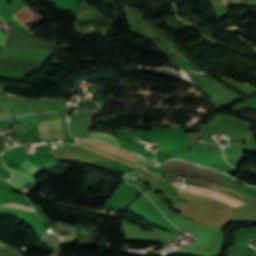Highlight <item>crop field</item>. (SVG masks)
Segmentation results:
<instances>
[{
  "label": "crop field",
  "instance_id": "1",
  "mask_svg": "<svg viewBox=\"0 0 256 256\" xmlns=\"http://www.w3.org/2000/svg\"><path fill=\"white\" fill-rule=\"evenodd\" d=\"M54 157L59 159H75V160H83V161H95V160H107L100 155H96L88 150H85L80 147L75 148H54L48 151Z\"/></svg>",
  "mask_w": 256,
  "mask_h": 256
},
{
  "label": "crop field",
  "instance_id": "2",
  "mask_svg": "<svg viewBox=\"0 0 256 256\" xmlns=\"http://www.w3.org/2000/svg\"><path fill=\"white\" fill-rule=\"evenodd\" d=\"M40 139H64L61 119L37 123Z\"/></svg>",
  "mask_w": 256,
  "mask_h": 256
},
{
  "label": "crop field",
  "instance_id": "3",
  "mask_svg": "<svg viewBox=\"0 0 256 256\" xmlns=\"http://www.w3.org/2000/svg\"><path fill=\"white\" fill-rule=\"evenodd\" d=\"M79 142H80V143H84V144H88V145H92V146H96V147H100V148H104V149H106V150H108V151H111V152H113V153H116V154H118V155H120V156H123V157H125V158H128V159L134 161V163H135V165H136L135 167H139V166H140V165L137 163L134 154L129 153V152H127V151H124V150H122V149H119V148L110 146V145L105 144V143H101V142H99V141L79 140ZM77 146L86 148V149H88V150H92V151L97 152V153H99V154H101V155H104V156L110 157V158H112V159L118 160V159L113 158V157H111V156H109V155H106V154H104V153L98 152V151H96V150H93V149H90V148H87V147H84V146H82V145L77 144ZM118 161H120V162H122V163H124V164H126V165L133 166V165L128 164V163H126V162H123V161H121V160H118Z\"/></svg>",
  "mask_w": 256,
  "mask_h": 256
},
{
  "label": "crop field",
  "instance_id": "4",
  "mask_svg": "<svg viewBox=\"0 0 256 256\" xmlns=\"http://www.w3.org/2000/svg\"><path fill=\"white\" fill-rule=\"evenodd\" d=\"M191 184L196 185V186H200V187H204V188H208V189H213V190L224 192L226 194H229L231 196H234V197L238 198L239 200H241L244 203H246L248 201H252L251 199L243 196L241 193H239L238 191H236L234 189H230V188H227V187L215 185V184H212V183H209V182H206V181H200V180L193 179Z\"/></svg>",
  "mask_w": 256,
  "mask_h": 256
},
{
  "label": "crop field",
  "instance_id": "5",
  "mask_svg": "<svg viewBox=\"0 0 256 256\" xmlns=\"http://www.w3.org/2000/svg\"><path fill=\"white\" fill-rule=\"evenodd\" d=\"M89 138H92V139H102V140H105L107 142L119 145V142H118V140L115 137H113L110 134L104 133V132H92V133H89Z\"/></svg>",
  "mask_w": 256,
  "mask_h": 256
},
{
  "label": "crop field",
  "instance_id": "6",
  "mask_svg": "<svg viewBox=\"0 0 256 256\" xmlns=\"http://www.w3.org/2000/svg\"><path fill=\"white\" fill-rule=\"evenodd\" d=\"M21 162L24 163L21 167H23V168L27 169L28 171L34 173L35 176L40 174V173H42V172H44L40 168H38L36 165L32 164L31 162H29V161H27L25 159L23 161H21Z\"/></svg>",
  "mask_w": 256,
  "mask_h": 256
},
{
  "label": "crop field",
  "instance_id": "7",
  "mask_svg": "<svg viewBox=\"0 0 256 256\" xmlns=\"http://www.w3.org/2000/svg\"><path fill=\"white\" fill-rule=\"evenodd\" d=\"M158 175L152 174L148 171H144L143 176L141 177V181L144 183H147L149 186L152 185V183L157 179Z\"/></svg>",
  "mask_w": 256,
  "mask_h": 256
},
{
  "label": "crop field",
  "instance_id": "8",
  "mask_svg": "<svg viewBox=\"0 0 256 256\" xmlns=\"http://www.w3.org/2000/svg\"><path fill=\"white\" fill-rule=\"evenodd\" d=\"M4 206H16V207H20V208H24V209H28V210H32L33 209V208H30V207H26V206L14 204V203L5 204Z\"/></svg>",
  "mask_w": 256,
  "mask_h": 256
},
{
  "label": "crop field",
  "instance_id": "9",
  "mask_svg": "<svg viewBox=\"0 0 256 256\" xmlns=\"http://www.w3.org/2000/svg\"><path fill=\"white\" fill-rule=\"evenodd\" d=\"M7 35L0 32V44L4 46V41L6 39Z\"/></svg>",
  "mask_w": 256,
  "mask_h": 256
},
{
  "label": "crop field",
  "instance_id": "10",
  "mask_svg": "<svg viewBox=\"0 0 256 256\" xmlns=\"http://www.w3.org/2000/svg\"><path fill=\"white\" fill-rule=\"evenodd\" d=\"M1 244V243H0ZM3 246H5V245H3Z\"/></svg>",
  "mask_w": 256,
  "mask_h": 256
}]
</instances>
